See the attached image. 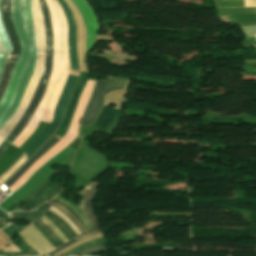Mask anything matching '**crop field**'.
Masks as SVG:
<instances>
[{
    "instance_id": "1",
    "label": "crop field",
    "mask_w": 256,
    "mask_h": 256,
    "mask_svg": "<svg viewBox=\"0 0 256 256\" xmlns=\"http://www.w3.org/2000/svg\"><path fill=\"white\" fill-rule=\"evenodd\" d=\"M42 4V12L45 24V32H46V55H45V33H44V24L41 12V4ZM32 0V13H33V23L34 29L37 39V48H38V57L36 62L35 72L26 88L24 93L23 99L19 108L10 118V120L6 123V125L1 129L0 136L4 139L6 136L11 132L14 128L16 123L19 121L23 113L25 112L40 80L42 75L43 69V62H44V55H45V62H44V69L42 80L20 121L15 126L13 131L10 133L9 136L12 138H16V136L23 130V128L27 125L28 121L30 120L38 102L40 101L48 82V78L51 72L52 67V51H53V38H52V28H51V20L49 10L46 6L45 0ZM7 137L5 140L8 142H12L14 139L11 137Z\"/></svg>"
},
{
    "instance_id": "2",
    "label": "crop field",
    "mask_w": 256,
    "mask_h": 256,
    "mask_svg": "<svg viewBox=\"0 0 256 256\" xmlns=\"http://www.w3.org/2000/svg\"><path fill=\"white\" fill-rule=\"evenodd\" d=\"M22 17L24 21V25L26 28V32L28 35V39L30 42L31 50L28 58L27 65L25 66L21 79L16 87L14 96L9 107L4 111V113L0 116V129L3 125L8 121V119L12 116L15 110L18 108L20 101L22 99L23 93L25 91L26 85L32 75V72L35 67L37 50H36V39L32 24V14H31V0H23L22 2Z\"/></svg>"
},
{
    "instance_id": "3",
    "label": "crop field",
    "mask_w": 256,
    "mask_h": 256,
    "mask_svg": "<svg viewBox=\"0 0 256 256\" xmlns=\"http://www.w3.org/2000/svg\"><path fill=\"white\" fill-rule=\"evenodd\" d=\"M21 2L22 0H12L11 5V15L14 22V26L19 38V41L22 46V52L20 57L13 69L11 79L8 83L7 90L0 101V115L9 105L11 98L13 96L16 84L21 76L22 70L26 64L28 53H29V42L27 39V35L25 32V28L23 25L22 17H21Z\"/></svg>"
},
{
    "instance_id": "4",
    "label": "crop field",
    "mask_w": 256,
    "mask_h": 256,
    "mask_svg": "<svg viewBox=\"0 0 256 256\" xmlns=\"http://www.w3.org/2000/svg\"><path fill=\"white\" fill-rule=\"evenodd\" d=\"M125 83L126 79L120 77H111L109 81L97 80L81 125L92 124L102 107L104 95L110 91L124 89Z\"/></svg>"
},
{
    "instance_id": "5",
    "label": "crop field",
    "mask_w": 256,
    "mask_h": 256,
    "mask_svg": "<svg viewBox=\"0 0 256 256\" xmlns=\"http://www.w3.org/2000/svg\"><path fill=\"white\" fill-rule=\"evenodd\" d=\"M97 192V188H92V187H86L84 188L79 194L82 195V200L79 202V204L77 205L80 209V211L82 212V214L84 215V217L86 218V220L88 221V223L91 225V227L93 229L89 230V231H85L81 225L73 218V216L67 212L63 207L49 201L47 203L51 204L52 206H54L55 208H57L59 211H61L63 214H65L83 233L80 234L83 238L91 235V234H95V233H99L100 228H99V223H98V219L92 209V201L95 198V194Z\"/></svg>"
},
{
    "instance_id": "6",
    "label": "crop field",
    "mask_w": 256,
    "mask_h": 256,
    "mask_svg": "<svg viewBox=\"0 0 256 256\" xmlns=\"http://www.w3.org/2000/svg\"><path fill=\"white\" fill-rule=\"evenodd\" d=\"M77 78L78 77H75V76H70V75L68 76L63 92L55 108L52 123L25 152L28 158L32 156L40 148V146L51 136V134L57 129L60 119L63 115L66 103L73 91V87Z\"/></svg>"
},
{
    "instance_id": "7",
    "label": "crop field",
    "mask_w": 256,
    "mask_h": 256,
    "mask_svg": "<svg viewBox=\"0 0 256 256\" xmlns=\"http://www.w3.org/2000/svg\"><path fill=\"white\" fill-rule=\"evenodd\" d=\"M51 206L47 204H42L39 206L37 209L31 211V212H12L10 213V218H25L28 221L32 222L33 220L41 217L42 215L50 212L47 209L50 208ZM46 216L53 222V224L63 233V235L69 240L75 235H77L71 228L70 226L63 221L61 218L56 216L54 213L50 212L46 214Z\"/></svg>"
},
{
    "instance_id": "8",
    "label": "crop field",
    "mask_w": 256,
    "mask_h": 256,
    "mask_svg": "<svg viewBox=\"0 0 256 256\" xmlns=\"http://www.w3.org/2000/svg\"><path fill=\"white\" fill-rule=\"evenodd\" d=\"M10 3H11V0H1L0 10H1L3 23L8 33V36L10 38V41L12 44V50H13V52H11L8 55L6 61H16L19 56L21 46L18 41L14 26H13V22L10 16Z\"/></svg>"
},
{
    "instance_id": "9",
    "label": "crop field",
    "mask_w": 256,
    "mask_h": 256,
    "mask_svg": "<svg viewBox=\"0 0 256 256\" xmlns=\"http://www.w3.org/2000/svg\"><path fill=\"white\" fill-rule=\"evenodd\" d=\"M18 234L28 242L39 255H45L55 249L32 223Z\"/></svg>"
},
{
    "instance_id": "10",
    "label": "crop field",
    "mask_w": 256,
    "mask_h": 256,
    "mask_svg": "<svg viewBox=\"0 0 256 256\" xmlns=\"http://www.w3.org/2000/svg\"><path fill=\"white\" fill-rule=\"evenodd\" d=\"M60 3L65 17L68 23L69 36H68V47H69V55H70V67L72 70H78L77 63V55H76V26L72 13L70 12L68 6L64 2V0H58Z\"/></svg>"
},
{
    "instance_id": "11",
    "label": "crop field",
    "mask_w": 256,
    "mask_h": 256,
    "mask_svg": "<svg viewBox=\"0 0 256 256\" xmlns=\"http://www.w3.org/2000/svg\"><path fill=\"white\" fill-rule=\"evenodd\" d=\"M66 180H62V183L56 184L52 182H47L45 185L37 189L35 192L27 196L24 200L31 208H35L40 205L42 202L50 199L56 193L60 191V189L65 184Z\"/></svg>"
},
{
    "instance_id": "12",
    "label": "crop field",
    "mask_w": 256,
    "mask_h": 256,
    "mask_svg": "<svg viewBox=\"0 0 256 256\" xmlns=\"http://www.w3.org/2000/svg\"><path fill=\"white\" fill-rule=\"evenodd\" d=\"M60 137L52 135L47 142L19 169L17 170L4 184L9 188L11 187L23 173L39 159V157L59 141Z\"/></svg>"
},
{
    "instance_id": "13",
    "label": "crop field",
    "mask_w": 256,
    "mask_h": 256,
    "mask_svg": "<svg viewBox=\"0 0 256 256\" xmlns=\"http://www.w3.org/2000/svg\"><path fill=\"white\" fill-rule=\"evenodd\" d=\"M87 76H88L87 74L80 71L79 80L77 82V85H76L73 93H72V96L70 98L69 104H68L67 109H66L65 116H64V118L62 120V123L60 125L61 127L65 128V129H68V127H69V124L71 122L72 116H73L74 111H75L78 96H79L80 92L82 91L83 87L86 84Z\"/></svg>"
},
{
    "instance_id": "14",
    "label": "crop field",
    "mask_w": 256,
    "mask_h": 256,
    "mask_svg": "<svg viewBox=\"0 0 256 256\" xmlns=\"http://www.w3.org/2000/svg\"><path fill=\"white\" fill-rule=\"evenodd\" d=\"M119 115L120 110L111 109L104 105L94 124L100 125V129H105L112 132Z\"/></svg>"
},
{
    "instance_id": "15",
    "label": "crop field",
    "mask_w": 256,
    "mask_h": 256,
    "mask_svg": "<svg viewBox=\"0 0 256 256\" xmlns=\"http://www.w3.org/2000/svg\"><path fill=\"white\" fill-rule=\"evenodd\" d=\"M15 62H6L1 78H0V99L5 91L6 85L8 83V80L11 75L12 68L14 66Z\"/></svg>"
},
{
    "instance_id": "16",
    "label": "crop field",
    "mask_w": 256,
    "mask_h": 256,
    "mask_svg": "<svg viewBox=\"0 0 256 256\" xmlns=\"http://www.w3.org/2000/svg\"><path fill=\"white\" fill-rule=\"evenodd\" d=\"M97 244H102V237L93 239V240H91V241H89V242H87L85 244H82V245H80L78 247H75V248H73V249H71V250H69V251H67V252H65V253H63L61 255H73V254H75L76 252H78L80 250H83V249H85L87 247H90V246H93V245H97Z\"/></svg>"
},
{
    "instance_id": "17",
    "label": "crop field",
    "mask_w": 256,
    "mask_h": 256,
    "mask_svg": "<svg viewBox=\"0 0 256 256\" xmlns=\"http://www.w3.org/2000/svg\"><path fill=\"white\" fill-rule=\"evenodd\" d=\"M0 39L2 41L3 51H12L10 41L8 39V36L6 34V31H5L2 21H1V16H0Z\"/></svg>"
},
{
    "instance_id": "18",
    "label": "crop field",
    "mask_w": 256,
    "mask_h": 256,
    "mask_svg": "<svg viewBox=\"0 0 256 256\" xmlns=\"http://www.w3.org/2000/svg\"><path fill=\"white\" fill-rule=\"evenodd\" d=\"M51 201H53V202H55V203H57V204L63 206L67 211H69V212L75 217V219L82 225V227H83L86 231L89 230V229L87 228V226L84 224V222L81 220V218L78 216V214H77L74 210H72L67 204L63 203L62 201H60V200H58V199H56V198H54V199L51 200Z\"/></svg>"
},
{
    "instance_id": "19",
    "label": "crop field",
    "mask_w": 256,
    "mask_h": 256,
    "mask_svg": "<svg viewBox=\"0 0 256 256\" xmlns=\"http://www.w3.org/2000/svg\"><path fill=\"white\" fill-rule=\"evenodd\" d=\"M40 231L41 233L46 237V239L51 243L52 246L55 248L59 247L56 242L50 237V235L44 230V228L38 223L37 220L32 222Z\"/></svg>"
},
{
    "instance_id": "20",
    "label": "crop field",
    "mask_w": 256,
    "mask_h": 256,
    "mask_svg": "<svg viewBox=\"0 0 256 256\" xmlns=\"http://www.w3.org/2000/svg\"><path fill=\"white\" fill-rule=\"evenodd\" d=\"M40 224L45 228V230L51 235V237L58 243V245H62L63 242L54 234V232L51 230V228L43 221L42 218L37 219Z\"/></svg>"
},
{
    "instance_id": "21",
    "label": "crop field",
    "mask_w": 256,
    "mask_h": 256,
    "mask_svg": "<svg viewBox=\"0 0 256 256\" xmlns=\"http://www.w3.org/2000/svg\"><path fill=\"white\" fill-rule=\"evenodd\" d=\"M52 228V230L55 232V234L65 243L68 240L62 235V233L44 216L42 217Z\"/></svg>"
},
{
    "instance_id": "22",
    "label": "crop field",
    "mask_w": 256,
    "mask_h": 256,
    "mask_svg": "<svg viewBox=\"0 0 256 256\" xmlns=\"http://www.w3.org/2000/svg\"><path fill=\"white\" fill-rule=\"evenodd\" d=\"M23 228H15L13 229L12 226H8L6 228L3 229V231L5 232V234L10 237L12 239V237L15 235L16 232H19L20 230H22Z\"/></svg>"
},
{
    "instance_id": "23",
    "label": "crop field",
    "mask_w": 256,
    "mask_h": 256,
    "mask_svg": "<svg viewBox=\"0 0 256 256\" xmlns=\"http://www.w3.org/2000/svg\"><path fill=\"white\" fill-rule=\"evenodd\" d=\"M26 160V156L22 157L20 161L17 163V165L11 169L3 178L2 180H6L13 172H15Z\"/></svg>"
},
{
    "instance_id": "24",
    "label": "crop field",
    "mask_w": 256,
    "mask_h": 256,
    "mask_svg": "<svg viewBox=\"0 0 256 256\" xmlns=\"http://www.w3.org/2000/svg\"><path fill=\"white\" fill-rule=\"evenodd\" d=\"M9 53L10 52L0 53V75H1L3 65H4L5 58Z\"/></svg>"
},
{
    "instance_id": "25",
    "label": "crop field",
    "mask_w": 256,
    "mask_h": 256,
    "mask_svg": "<svg viewBox=\"0 0 256 256\" xmlns=\"http://www.w3.org/2000/svg\"><path fill=\"white\" fill-rule=\"evenodd\" d=\"M75 241H77V240L73 239V240H71V241L65 243L64 245L60 246L58 249H56L55 251H53V252H51V253H49V254H47V255H51V254H53V253H55V252L61 250L62 248H64V247H66V246H68V245L74 243Z\"/></svg>"
},
{
    "instance_id": "26",
    "label": "crop field",
    "mask_w": 256,
    "mask_h": 256,
    "mask_svg": "<svg viewBox=\"0 0 256 256\" xmlns=\"http://www.w3.org/2000/svg\"><path fill=\"white\" fill-rule=\"evenodd\" d=\"M103 251H106L105 247L94 250V251H91L89 253L82 254V255H93V254H97V253H100V252H103Z\"/></svg>"
},
{
    "instance_id": "27",
    "label": "crop field",
    "mask_w": 256,
    "mask_h": 256,
    "mask_svg": "<svg viewBox=\"0 0 256 256\" xmlns=\"http://www.w3.org/2000/svg\"><path fill=\"white\" fill-rule=\"evenodd\" d=\"M256 6V0H245V7Z\"/></svg>"
},
{
    "instance_id": "28",
    "label": "crop field",
    "mask_w": 256,
    "mask_h": 256,
    "mask_svg": "<svg viewBox=\"0 0 256 256\" xmlns=\"http://www.w3.org/2000/svg\"><path fill=\"white\" fill-rule=\"evenodd\" d=\"M100 247H103V245H98V246H94V247L88 248V249H86V250H84V251H81V252L78 253V254H75V255H80V254H82V253L89 252V251H91V250H94V249H97V248H100Z\"/></svg>"
},
{
    "instance_id": "29",
    "label": "crop field",
    "mask_w": 256,
    "mask_h": 256,
    "mask_svg": "<svg viewBox=\"0 0 256 256\" xmlns=\"http://www.w3.org/2000/svg\"><path fill=\"white\" fill-rule=\"evenodd\" d=\"M3 146H5L6 148L10 145L9 143H7L5 140H4V142H3V144H2ZM0 146V155L4 152V150L6 149L5 147H3V146Z\"/></svg>"
},
{
    "instance_id": "30",
    "label": "crop field",
    "mask_w": 256,
    "mask_h": 256,
    "mask_svg": "<svg viewBox=\"0 0 256 256\" xmlns=\"http://www.w3.org/2000/svg\"><path fill=\"white\" fill-rule=\"evenodd\" d=\"M30 251H33V249L26 250V251H23V252H20V253H13L12 255L28 253V252H30Z\"/></svg>"
},
{
    "instance_id": "31",
    "label": "crop field",
    "mask_w": 256,
    "mask_h": 256,
    "mask_svg": "<svg viewBox=\"0 0 256 256\" xmlns=\"http://www.w3.org/2000/svg\"><path fill=\"white\" fill-rule=\"evenodd\" d=\"M35 253H36V251L31 252V253H29V254H25V255H16V256H30V255H33V254H35Z\"/></svg>"
},
{
    "instance_id": "32",
    "label": "crop field",
    "mask_w": 256,
    "mask_h": 256,
    "mask_svg": "<svg viewBox=\"0 0 256 256\" xmlns=\"http://www.w3.org/2000/svg\"><path fill=\"white\" fill-rule=\"evenodd\" d=\"M3 140H4V139H3L2 137H0V144L2 143Z\"/></svg>"
},
{
    "instance_id": "33",
    "label": "crop field",
    "mask_w": 256,
    "mask_h": 256,
    "mask_svg": "<svg viewBox=\"0 0 256 256\" xmlns=\"http://www.w3.org/2000/svg\"><path fill=\"white\" fill-rule=\"evenodd\" d=\"M3 212L0 211V215L2 214Z\"/></svg>"
},
{
    "instance_id": "34",
    "label": "crop field",
    "mask_w": 256,
    "mask_h": 256,
    "mask_svg": "<svg viewBox=\"0 0 256 256\" xmlns=\"http://www.w3.org/2000/svg\"><path fill=\"white\" fill-rule=\"evenodd\" d=\"M2 184V182H0V185Z\"/></svg>"
},
{
    "instance_id": "35",
    "label": "crop field",
    "mask_w": 256,
    "mask_h": 256,
    "mask_svg": "<svg viewBox=\"0 0 256 256\" xmlns=\"http://www.w3.org/2000/svg\"><path fill=\"white\" fill-rule=\"evenodd\" d=\"M255 45H256V43H255Z\"/></svg>"
}]
</instances>
